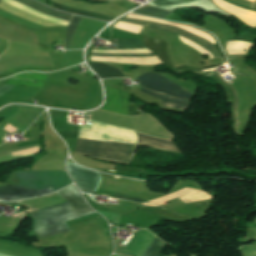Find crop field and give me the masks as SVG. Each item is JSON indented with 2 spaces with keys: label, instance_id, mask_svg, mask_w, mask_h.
I'll return each mask as SVG.
<instances>
[{
  "label": "crop field",
  "instance_id": "crop-field-9",
  "mask_svg": "<svg viewBox=\"0 0 256 256\" xmlns=\"http://www.w3.org/2000/svg\"><path fill=\"white\" fill-rule=\"evenodd\" d=\"M141 91L147 94H150L158 99H161L163 105L166 107H172V108L183 109V110H186L189 107V102H185L183 100L169 97L163 94L154 93V92L145 90L143 88L141 89Z\"/></svg>",
  "mask_w": 256,
  "mask_h": 256
},
{
  "label": "crop field",
  "instance_id": "crop-field-20",
  "mask_svg": "<svg viewBox=\"0 0 256 256\" xmlns=\"http://www.w3.org/2000/svg\"><path fill=\"white\" fill-rule=\"evenodd\" d=\"M217 77H219L217 74H215ZM220 78V77H219ZM221 79V78H220ZM222 80V79H221ZM225 82V81H224ZM226 83V82H225ZM227 84V83H226ZM230 88H231V90L233 91V93H234V97H235V132H236V128H237V120H236V105H237V97H236V95H235V92H234V90H233V88L229 85V84H227Z\"/></svg>",
  "mask_w": 256,
  "mask_h": 256
},
{
  "label": "crop field",
  "instance_id": "crop-field-26",
  "mask_svg": "<svg viewBox=\"0 0 256 256\" xmlns=\"http://www.w3.org/2000/svg\"><path fill=\"white\" fill-rule=\"evenodd\" d=\"M112 256H118V255H112Z\"/></svg>",
  "mask_w": 256,
  "mask_h": 256
},
{
  "label": "crop field",
  "instance_id": "crop-field-25",
  "mask_svg": "<svg viewBox=\"0 0 256 256\" xmlns=\"http://www.w3.org/2000/svg\"><path fill=\"white\" fill-rule=\"evenodd\" d=\"M253 256H256V251L252 252Z\"/></svg>",
  "mask_w": 256,
  "mask_h": 256
},
{
  "label": "crop field",
  "instance_id": "crop-field-19",
  "mask_svg": "<svg viewBox=\"0 0 256 256\" xmlns=\"http://www.w3.org/2000/svg\"><path fill=\"white\" fill-rule=\"evenodd\" d=\"M115 197H116V198H120V199L131 200V201H135V202H139V203H142V202L145 201V200H142V199L131 198V197H127V196H123V195H118V194H116Z\"/></svg>",
  "mask_w": 256,
  "mask_h": 256
},
{
  "label": "crop field",
  "instance_id": "crop-field-24",
  "mask_svg": "<svg viewBox=\"0 0 256 256\" xmlns=\"http://www.w3.org/2000/svg\"><path fill=\"white\" fill-rule=\"evenodd\" d=\"M225 1H227V0H225ZM227 2H229V1H227ZM230 3H232V2H230ZM232 4H234V3H232ZM234 5H236V4H234ZM238 6V5H237ZM241 7V6H240ZM244 8V7H243ZM247 9V8H246ZM250 10V9H249ZM251 11H253V10H251ZM256 12V11H255Z\"/></svg>",
  "mask_w": 256,
  "mask_h": 256
},
{
  "label": "crop field",
  "instance_id": "crop-field-22",
  "mask_svg": "<svg viewBox=\"0 0 256 256\" xmlns=\"http://www.w3.org/2000/svg\"><path fill=\"white\" fill-rule=\"evenodd\" d=\"M5 128H7V129H9V130H11V131L16 130V129L12 128V127L9 126V125H7ZM5 128H4V130H6V131H8V132H11V131H9V130H7V129H5ZM11 133H13V132H11Z\"/></svg>",
  "mask_w": 256,
  "mask_h": 256
},
{
  "label": "crop field",
  "instance_id": "crop-field-4",
  "mask_svg": "<svg viewBox=\"0 0 256 256\" xmlns=\"http://www.w3.org/2000/svg\"><path fill=\"white\" fill-rule=\"evenodd\" d=\"M136 80L141 82V86L143 87L179 97L181 99L189 100L192 96L186 90L157 74L146 73Z\"/></svg>",
  "mask_w": 256,
  "mask_h": 256
},
{
  "label": "crop field",
  "instance_id": "crop-field-3",
  "mask_svg": "<svg viewBox=\"0 0 256 256\" xmlns=\"http://www.w3.org/2000/svg\"><path fill=\"white\" fill-rule=\"evenodd\" d=\"M16 173L23 186L34 190L51 187L56 191L72 183L67 173L62 171H22Z\"/></svg>",
  "mask_w": 256,
  "mask_h": 256
},
{
  "label": "crop field",
  "instance_id": "crop-field-17",
  "mask_svg": "<svg viewBox=\"0 0 256 256\" xmlns=\"http://www.w3.org/2000/svg\"><path fill=\"white\" fill-rule=\"evenodd\" d=\"M194 0H155L152 1L157 6H165V5H177V4H182L186 2H190Z\"/></svg>",
  "mask_w": 256,
  "mask_h": 256
},
{
  "label": "crop field",
  "instance_id": "crop-field-1",
  "mask_svg": "<svg viewBox=\"0 0 256 256\" xmlns=\"http://www.w3.org/2000/svg\"><path fill=\"white\" fill-rule=\"evenodd\" d=\"M57 193L64 197L78 214L84 216L95 213L89 208L74 185ZM68 203L32 212L31 214L35 220V230L41 235L70 231L64 221L81 216Z\"/></svg>",
  "mask_w": 256,
  "mask_h": 256
},
{
  "label": "crop field",
  "instance_id": "crop-field-8",
  "mask_svg": "<svg viewBox=\"0 0 256 256\" xmlns=\"http://www.w3.org/2000/svg\"><path fill=\"white\" fill-rule=\"evenodd\" d=\"M146 48L142 39H118L117 49ZM116 50V49H106ZM91 56H155L153 53L92 54Z\"/></svg>",
  "mask_w": 256,
  "mask_h": 256
},
{
  "label": "crop field",
  "instance_id": "crop-field-23",
  "mask_svg": "<svg viewBox=\"0 0 256 256\" xmlns=\"http://www.w3.org/2000/svg\"><path fill=\"white\" fill-rule=\"evenodd\" d=\"M21 202V201H20ZM12 203H19V202H5V201H0V204H12Z\"/></svg>",
  "mask_w": 256,
  "mask_h": 256
},
{
  "label": "crop field",
  "instance_id": "crop-field-13",
  "mask_svg": "<svg viewBox=\"0 0 256 256\" xmlns=\"http://www.w3.org/2000/svg\"><path fill=\"white\" fill-rule=\"evenodd\" d=\"M23 71H42V72H49L52 71L51 67H42V66H23L19 68L10 69L6 72L0 74V79L14 75L19 72Z\"/></svg>",
  "mask_w": 256,
  "mask_h": 256
},
{
  "label": "crop field",
  "instance_id": "crop-field-2",
  "mask_svg": "<svg viewBox=\"0 0 256 256\" xmlns=\"http://www.w3.org/2000/svg\"><path fill=\"white\" fill-rule=\"evenodd\" d=\"M88 123L93 124V121H89ZM138 144L179 151L172 141L154 138L141 133H138ZM136 147L137 146L105 143L78 138L76 153L89 155L101 160L129 164Z\"/></svg>",
  "mask_w": 256,
  "mask_h": 256
},
{
  "label": "crop field",
  "instance_id": "crop-field-7",
  "mask_svg": "<svg viewBox=\"0 0 256 256\" xmlns=\"http://www.w3.org/2000/svg\"><path fill=\"white\" fill-rule=\"evenodd\" d=\"M30 191H34V190H31V189H28L26 187L19 186V185L0 187V198L17 195V194H21V193H25V192H30ZM51 192H53V190L51 188H48V189L25 193V194L12 196V197H8V198H4V199H6V200L29 199V198L46 195Z\"/></svg>",
  "mask_w": 256,
  "mask_h": 256
},
{
  "label": "crop field",
  "instance_id": "crop-field-16",
  "mask_svg": "<svg viewBox=\"0 0 256 256\" xmlns=\"http://www.w3.org/2000/svg\"><path fill=\"white\" fill-rule=\"evenodd\" d=\"M80 19H81V17L74 16L72 21H71V23H70V25L68 24L69 27L67 26L68 29H67V32H66V48L65 49L68 48V45H69V42H70L71 37L73 35V32H74L76 26L78 25Z\"/></svg>",
  "mask_w": 256,
  "mask_h": 256
},
{
  "label": "crop field",
  "instance_id": "crop-field-18",
  "mask_svg": "<svg viewBox=\"0 0 256 256\" xmlns=\"http://www.w3.org/2000/svg\"><path fill=\"white\" fill-rule=\"evenodd\" d=\"M38 151V146L36 147H32V148H28V149H24V150H20V151H16V152H12V156L15 155H26V154H31V153H36Z\"/></svg>",
  "mask_w": 256,
  "mask_h": 256
},
{
  "label": "crop field",
  "instance_id": "crop-field-5",
  "mask_svg": "<svg viewBox=\"0 0 256 256\" xmlns=\"http://www.w3.org/2000/svg\"><path fill=\"white\" fill-rule=\"evenodd\" d=\"M66 167L81 192L92 194L95 191L100 183L98 172L84 169L70 162H67Z\"/></svg>",
  "mask_w": 256,
  "mask_h": 256
},
{
  "label": "crop field",
  "instance_id": "crop-field-21",
  "mask_svg": "<svg viewBox=\"0 0 256 256\" xmlns=\"http://www.w3.org/2000/svg\"><path fill=\"white\" fill-rule=\"evenodd\" d=\"M13 86H9V85H3L0 87V95H2L3 93H5L6 91H8L10 88H12Z\"/></svg>",
  "mask_w": 256,
  "mask_h": 256
},
{
  "label": "crop field",
  "instance_id": "crop-field-6",
  "mask_svg": "<svg viewBox=\"0 0 256 256\" xmlns=\"http://www.w3.org/2000/svg\"><path fill=\"white\" fill-rule=\"evenodd\" d=\"M120 21L126 22V23H131V24H136V25H141V26H146V27H151V28H156V29H160V30H165V31H168V32H171L174 34H178V35L198 44L199 46L206 49L207 51H209L211 53V55L213 56V58L221 57L219 52L216 50V48L213 45H211L207 41H205L201 38H198L188 32H185V31L173 28V27H169V26L150 23L145 20H138V19L124 17Z\"/></svg>",
  "mask_w": 256,
  "mask_h": 256
},
{
  "label": "crop field",
  "instance_id": "crop-field-15",
  "mask_svg": "<svg viewBox=\"0 0 256 256\" xmlns=\"http://www.w3.org/2000/svg\"><path fill=\"white\" fill-rule=\"evenodd\" d=\"M133 13L150 15V16H154V17H157V18H161V19L166 17L168 14H170V12H167L165 10L155 8V7H150V6H147V5L133 11Z\"/></svg>",
  "mask_w": 256,
  "mask_h": 256
},
{
  "label": "crop field",
  "instance_id": "crop-field-14",
  "mask_svg": "<svg viewBox=\"0 0 256 256\" xmlns=\"http://www.w3.org/2000/svg\"><path fill=\"white\" fill-rule=\"evenodd\" d=\"M164 246L165 244L163 243V241L159 240L155 236L153 242L151 243L149 248L146 250V252L142 256H163L161 252ZM122 254H125V253H122ZM127 255L135 256L133 254H127Z\"/></svg>",
  "mask_w": 256,
  "mask_h": 256
},
{
  "label": "crop field",
  "instance_id": "crop-field-11",
  "mask_svg": "<svg viewBox=\"0 0 256 256\" xmlns=\"http://www.w3.org/2000/svg\"><path fill=\"white\" fill-rule=\"evenodd\" d=\"M51 3L54 7H56L59 10H62V11H66V12H70V13H74V14H79V15H83V16H88V17H92V18H97V19H101V20H105V21H112V20L115 19L114 17H111V16L96 15V14H92V13L72 9V8H69V7L60 5V4H56L52 1H51Z\"/></svg>",
  "mask_w": 256,
  "mask_h": 256
},
{
  "label": "crop field",
  "instance_id": "crop-field-12",
  "mask_svg": "<svg viewBox=\"0 0 256 256\" xmlns=\"http://www.w3.org/2000/svg\"><path fill=\"white\" fill-rule=\"evenodd\" d=\"M17 1H20V2H22V3H25V4H27V5L31 6V7H33V8H36V9H38V10H40V11H43V12H45V13H48V14H50V15H52V16H56V17H60V18L68 19V20H69L70 17H71V15H69V14H63V13L56 12V11L50 9V8H47V7L41 5V4L37 3V2L31 1V0H17ZM71 18H72V17H71ZM70 20H71V19H70Z\"/></svg>",
  "mask_w": 256,
  "mask_h": 256
},
{
  "label": "crop field",
  "instance_id": "crop-field-10",
  "mask_svg": "<svg viewBox=\"0 0 256 256\" xmlns=\"http://www.w3.org/2000/svg\"><path fill=\"white\" fill-rule=\"evenodd\" d=\"M89 65L97 73L100 79L123 76L120 71L102 63H89Z\"/></svg>",
  "mask_w": 256,
  "mask_h": 256
}]
</instances>
